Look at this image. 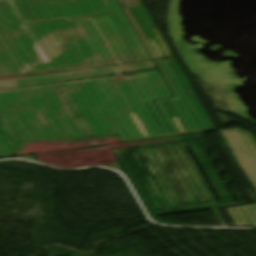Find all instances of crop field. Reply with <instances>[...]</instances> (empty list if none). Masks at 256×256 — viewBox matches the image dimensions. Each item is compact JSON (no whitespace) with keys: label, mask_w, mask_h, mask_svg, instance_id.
<instances>
[{"label":"crop field","mask_w":256,"mask_h":256,"mask_svg":"<svg viewBox=\"0 0 256 256\" xmlns=\"http://www.w3.org/2000/svg\"><path fill=\"white\" fill-rule=\"evenodd\" d=\"M236 226H251L240 207L226 208Z\"/></svg>","instance_id":"crop-field-5"},{"label":"crop field","mask_w":256,"mask_h":256,"mask_svg":"<svg viewBox=\"0 0 256 256\" xmlns=\"http://www.w3.org/2000/svg\"><path fill=\"white\" fill-rule=\"evenodd\" d=\"M139 9L140 13L137 11ZM129 8L123 9L124 13L126 14L127 18L129 19L130 23L132 24L133 28L135 29L136 33L138 34L139 38L141 39L142 43L144 44L145 48L149 52L152 58H163V57H170L172 56L171 52L169 51L167 45L165 44L164 40L162 39L161 35L159 34L157 28L155 27L154 23L152 22L151 18L149 17L147 11L145 10L144 6L140 7H133L130 8L132 13L134 14L135 18L137 19L138 23L140 24L141 28L145 32L146 36L148 37L149 41L151 42L152 46L154 47L155 51L157 52L159 57H156L154 52L152 51L151 47L149 46L148 42L146 41L145 37L143 36L141 30L139 29L138 25L136 24L135 20L133 19L132 15L130 14ZM143 16L144 20L141 18ZM148 26L152 32L148 30L146 27ZM156 38L157 41L154 40ZM160 45L161 49L163 50L164 54H162L161 50L159 49L158 45Z\"/></svg>","instance_id":"crop-field-4"},{"label":"crop field","mask_w":256,"mask_h":256,"mask_svg":"<svg viewBox=\"0 0 256 256\" xmlns=\"http://www.w3.org/2000/svg\"><path fill=\"white\" fill-rule=\"evenodd\" d=\"M244 212L253 226H256V205L243 206Z\"/></svg>","instance_id":"crop-field-6"},{"label":"crop field","mask_w":256,"mask_h":256,"mask_svg":"<svg viewBox=\"0 0 256 256\" xmlns=\"http://www.w3.org/2000/svg\"><path fill=\"white\" fill-rule=\"evenodd\" d=\"M220 133L256 191V141L252 134L238 129Z\"/></svg>","instance_id":"crop-field-3"},{"label":"crop field","mask_w":256,"mask_h":256,"mask_svg":"<svg viewBox=\"0 0 256 256\" xmlns=\"http://www.w3.org/2000/svg\"><path fill=\"white\" fill-rule=\"evenodd\" d=\"M167 60L210 129L196 111ZM160 61L179 87L203 130L199 129ZM156 63L176 96L155 101L174 134L170 133L151 102V99L172 96L158 71L119 76L123 72L154 68L152 61L15 78L0 81V158L214 129L213 122L176 59L156 60ZM145 101L157 115L166 135L144 104ZM167 110L174 116L172 119L180 133L168 117ZM114 133H118L121 140L110 135ZM21 143L26 150H23Z\"/></svg>","instance_id":"crop-field-1"},{"label":"crop field","mask_w":256,"mask_h":256,"mask_svg":"<svg viewBox=\"0 0 256 256\" xmlns=\"http://www.w3.org/2000/svg\"><path fill=\"white\" fill-rule=\"evenodd\" d=\"M148 59L117 0H0V80Z\"/></svg>","instance_id":"crop-field-2"}]
</instances>
